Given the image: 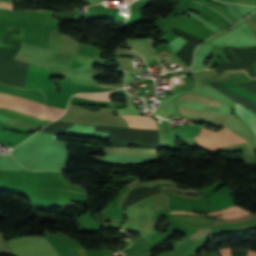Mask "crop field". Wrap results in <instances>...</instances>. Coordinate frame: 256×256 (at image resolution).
I'll return each instance as SVG.
<instances>
[{"label":"crop field","mask_w":256,"mask_h":256,"mask_svg":"<svg viewBox=\"0 0 256 256\" xmlns=\"http://www.w3.org/2000/svg\"><path fill=\"white\" fill-rule=\"evenodd\" d=\"M8 244L15 256H59L46 237H19Z\"/></svg>","instance_id":"8a807250"},{"label":"crop field","mask_w":256,"mask_h":256,"mask_svg":"<svg viewBox=\"0 0 256 256\" xmlns=\"http://www.w3.org/2000/svg\"><path fill=\"white\" fill-rule=\"evenodd\" d=\"M214 136L223 145H231L239 142H245L242 138L234 135L231 131L223 128L220 131L214 132ZM211 131L202 129L201 133L194 137L198 143L207 149L213 150L215 148L223 147L213 136Z\"/></svg>","instance_id":"ac0d7876"},{"label":"crop field","mask_w":256,"mask_h":256,"mask_svg":"<svg viewBox=\"0 0 256 256\" xmlns=\"http://www.w3.org/2000/svg\"><path fill=\"white\" fill-rule=\"evenodd\" d=\"M225 127L229 128L237 135L243 137L248 143L249 151L251 153H254L253 150L256 149V146L254 144L253 135L249 128L242 121L231 115L227 123L225 124Z\"/></svg>","instance_id":"34b2d1b8"},{"label":"crop field","mask_w":256,"mask_h":256,"mask_svg":"<svg viewBox=\"0 0 256 256\" xmlns=\"http://www.w3.org/2000/svg\"><path fill=\"white\" fill-rule=\"evenodd\" d=\"M127 44L133 51H138L143 55L144 60L155 58L158 59L156 52L153 48L152 39L142 40H126Z\"/></svg>","instance_id":"412701ff"},{"label":"crop field","mask_w":256,"mask_h":256,"mask_svg":"<svg viewBox=\"0 0 256 256\" xmlns=\"http://www.w3.org/2000/svg\"><path fill=\"white\" fill-rule=\"evenodd\" d=\"M235 114L246 123V125L251 129L254 134L256 143V114L246 109L240 104H235L234 106Z\"/></svg>","instance_id":"f4fd0767"},{"label":"crop field","mask_w":256,"mask_h":256,"mask_svg":"<svg viewBox=\"0 0 256 256\" xmlns=\"http://www.w3.org/2000/svg\"><path fill=\"white\" fill-rule=\"evenodd\" d=\"M128 123L129 127L143 129H157L156 123L151 118L142 116H125L121 115Z\"/></svg>","instance_id":"dd49c442"},{"label":"crop field","mask_w":256,"mask_h":256,"mask_svg":"<svg viewBox=\"0 0 256 256\" xmlns=\"http://www.w3.org/2000/svg\"><path fill=\"white\" fill-rule=\"evenodd\" d=\"M180 100L195 102V103H200V104H206V105H212V106H218V107H220L222 104L219 101H217L207 95H202V94H198V93H194V92H189L188 94L181 97Z\"/></svg>","instance_id":"e52e79f7"},{"label":"crop field","mask_w":256,"mask_h":256,"mask_svg":"<svg viewBox=\"0 0 256 256\" xmlns=\"http://www.w3.org/2000/svg\"><path fill=\"white\" fill-rule=\"evenodd\" d=\"M157 149H122L106 147L104 152L118 153V154H142V155H156Z\"/></svg>","instance_id":"d8731c3e"},{"label":"crop field","mask_w":256,"mask_h":256,"mask_svg":"<svg viewBox=\"0 0 256 256\" xmlns=\"http://www.w3.org/2000/svg\"><path fill=\"white\" fill-rule=\"evenodd\" d=\"M0 105L6 106V107H9V108H13V109L22 110V111L28 112L30 114H34V115H38V116L43 117L41 111H37V110L30 109V108H27V107H23V106H20V105H16V104H12V103H7V102H1V101H0Z\"/></svg>","instance_id":"5a996713"},{"label":"crop field","mask_w":256,"mask_h":256,"mask_svg":"<svg viewBox=\"0 0 256 256\" xmlns=\"http://www.w3.org/2000/svg\"><path fill=\"white\" fill-rule=\"evenodd\" d=\"M237 210H241L240 207L238 206H233L221 211H216V212H210L207 215H200V216H212V215H220V214H226V213H231ZM170 213H186V214H192V215H199V214H195V213H190V212H185V211H174V212H170Z\"/></svg>","instance_id":"3316defc"},{"label":"crop field","mask_w":256,"mask_h":256,"mask_svg":"<svg viewBox=\"0 0 256 256\" xmlns=\"http://www.w3.org/2000/svg\"><path fill=\"white\" fill-rule=\"evenodd\" d=\"M110 92L107 93H100V94H78L75 95L76 97L91 99V100H102V101H109L108 96Z\"/></svg>","instance_id":"28ad6ade"},{"label":"crop field","mask_w":256,"mask_h":256,"mask_svg":"<svg viewBox=\"0 0 256 256\" xmlns=\"http://www.w3.org/2000/svg\"><path fill=\"white\" fill-rule=\"evenodd\" d=\"M63 109H57L53 107L46 106L47 119L55 120L61 114H63Z\"/></svg>","instance_id":"d1516ede"},{"label":"crop field","mask_w":256,"mask_h":256,"mask_svg":"<svg viewBox=\"0 0 256 256\" xmlns=\"http://www.w3.org/2000/svg\"><path fill=\"white\" fill-rule=\"evenodd\" d=\"M227 11L238 21L241 19V15L239 14L237 7L235 4L226 3Z\"/></svg>","instance_id":"22f410ed"},{"label":"crop field","mask_w":256,"mask_h":256,"mask_svg":"<svg viewBox=\"0 0 256 256\" xmlns=\"http://www.w3.org/2000/svg\"><path fill=\"white\" fill-rule=\"evenodd\" d=\"M250 212L249 211H246V210H241V211H237V212H234L232 214H228V215H224V216H220L222 218H231V217H237V216H241V215H245V214H249Z\"/></svg>","instance_id":"cbeb9de0"},{"label":"crop field","mask_w":256,"mask_h":256,"mask_svg":"<svg viewBox=\"0 0 256 256\" xmlns=\"http://www.w3.org/2000/svg\"><path fill=\"white\" fill-rule=\"evenodd\" d=\"M247 21V23L250 25V27L252 28V30H256V21L253 17V15L249 16L247 19H245Z\"/></svg>","instance_id":"5142ce71"},{"label":"crop field","mask_w":256,"mask_h":256,"mask_svg":"<svg viewBox=\"0 0 256 256\" xmlns=\"http://www.w3.org/2000/svg\"><path fill=\"white\" fill-rule=\"evenodd\" d=\"M13 0H0V7H7L12 9Z\"/></svg>","instance_id":"d9b57169"},{"label":"crop field","mask_w":256,"mask_h":256,"mask_svg":"<svg viewBox=\"0 0 256 256\" xmlns=\"http://www.w3.org/2000/svg\"><path fill=\"white\" fill-rule=\"evenodd\" d=\"M219 251H220L222 256H231V251H230L229 248L223 249V250H219Z\"/></svg>","instance_id":"733c2abd"},{"label":"crop field","mask_w":256,"mask_h":256,"mask_svg":"<svg viewBox=\"0 0 256 256\" xmlns=\"http://www.w3.org/2000/svg\"><path fill=\"white\" fill-rule=\"evenodd\" d=\"M78 251H79L81 256H87L85 251L83 250V248H79Z\"/></svg>","instance_id":"4a817a6b"},{"label":"crop field","mask_w":256,"mask_h":256,"mask_svg":"<svg viewBox=\"0 0 256 256\" xmlns=\"http://www.w3.org/2000/svg\"><path fill=\"white\" fill-rule=\"evenodd\" d=\"M248 256H256V252L248 251Z\"/></svg>","instance_id":"bc2a9ffb"},{"label":"crop field","mask_w":256,"mask_h":256,"mask_svg":"<svg viewBox=\"0 0 256 256\" xmlns=\"http://www.w3.org/2000/svg\"><path fill=\"white\" fill-rule=\"evenodd\" d=\"M113 88V87H112Z\"/></svg>","instance_id":"214f88e0"}]
</instances>
